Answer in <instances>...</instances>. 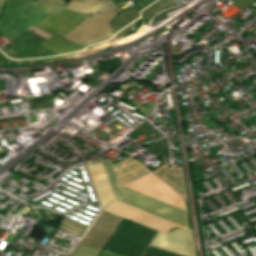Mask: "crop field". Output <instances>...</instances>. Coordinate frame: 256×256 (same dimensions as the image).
Returning a JSON list of instances; mask_svg holds the SVG:
<instances>
[{
	"label": "crop field",
	"mask_w": 256,
	"mask_h": 256,
	"mask_svg": "<svg viewBox=\"0 0 256 256\" xmlns=\"http://www.w3.org/2000/svg\"><path fill=\"white\" fill-rule=\"evenodd\" d=\"M42 1H46L52 4L61 5L65 7V4L62 0H42Z\"/></svg>",
	"instance_id": "obj_18"
},
{
	"label": "crop field",
	"mask_w": 256,
	"mask_h": 256,
	"mask_svg": "<svg viewBox=\"0 0 256 256\" xmlns=\"http://www.w3.org/2000/svg\"><path fill=\"white\" fill-rule=\"evenodd\" d=\"M99 252L100 249L78 244L70 256H98Z\"/></svg>",
	"instance_id": "obj_15"
},
{
	"label": "crop field",
	"mask_w": 256,
	"mask_h": 256,
	"mask_svg": "<svg viewBox=\"0 0 256 256\" xmlns=\"http://www.w3.org/2000/svg\"><path fill=\"white\" fill-rule=\"evenodd\" d=\"M145 256H178V254H174L161 249L150 247L147 253L145 254Z\"/></svg>",
	"instance_id": "obj_17"
},
{
	"label": "crop field",
	"mask_w": 256,
	"mask_h": 256,
	"mask_svg": "<svg viewBox=\"0 0 256 256\" xmlns=\"http://www.w3.org/2000/svg\"><path fill=\"white\" fill-rule=\"evenodd\" d=\"M140 7L143 6L144 4H146L147 2H149L150 0H137Z\"/></svg>",
	"instance_id": "obj_19"
},
{
	"label": "crop field",
	"mask_w": 256,
	"mask_h": 256,
	"mask_svg": "<svg viewBox=\"0 0 256 256\" xmlns=\"http://www.w3.org/2000/svg\"><path fill=\"white\" fill-rule=\"evenodd\" d=\"M111 6V0H71L66 8L90 14Z\"/></svg>",
	"instance_id": "obj_10"
},
{
	"label": "crop field",
	"mask_w": 256,
	"mask_h": 256,
	"mask_svg": "<svg viewBox=\"0 0 256 256\" xmlns=\"http://www.w3.org/2000/svg\"><path fill=\"white\" fill-rule=\"evenodd\" d=\"M102 256H118V255L111 254V253H108V252H103Z\"/></svg>",
	"instance_id": "obj_20"
},
{
	"label": "crop field",
	"mask_w": 256,
	"mask_h": 256,
	"mask_svg": "<svg viewBox=\"0 0 256 256\" xmlns=\"http://www.w3.org/2000/svg\"><path fill=\"white\" fill-rule=\"evenodd\" d=\"M139 19L135 9L133 8L132 10L121 14L120 17H118L116 19L115 22H113L111 25V27L114 29L115 32H119L121 29H123L124 27H126L127 25H129L131 22L135 21ZM133 24H131L130 26H128L127 28H125L123 31H121L120 33H118L119 35H124L131 27Z\"/></svg>",
	"instance_id": "obj_14"
},
{
	"label": "crop field",
	"mask_w": 256,
	"mask_h": 256,
	"mask_svg": "<svg viewBox=\"0 0 256 256\" xmlns=\"http://www.w3.org/2000/svg\"><path fill=\"white\" fill-rule=\"evenodd\" d=\"M110 236V233L100 232L89 228L80 244L90 245L102 249Z\"/></svg>",
	"instance_id": "obj_12"
},
{
	"label": "crop field",
	"mask_w": 256,
	"mask_h": 256,
	"mask_svg": "<svg viewBox=\"0 0 256 256\" xmlns=\"http://www.w3.org/2000/svg\"><path fill=\"white\" fill-rule=\"evenodd\" d=\"M139 166H141V164L139 162H137L134 159L129 157V158L121 161L120 163L114 165V169L117 174V177H119V176L139 167ZM147 172H149V171L142 166V167L118 178L117 179V187L121 186V185L147 173Z\"/></svg>",
	"instance_id": "obj_9"
},
{
	"label": "crop field",
	"mask_w": 256,
	"mask_h": 256,
	"mask_svg": "<svg viewBox=\"0 0 256 256\" xmlns=\"http://www.w3.org/2000/svg\"><path fill=\"white\" fill-rule=\"evenodd\" d=\"M120 221L121 218L102 211L92 227L113 233Z\"/></svg>",
	"instance_id": "obj_13"
},
{
	"label": "crop field",
	"mask_w": 256,
	"mask_h": 256,
	"mask_svg": "<svg viewBox=\"0 0 256 256\" xmlns=\"http://www.w3.org/2000/svg\"><path fill=\"white\" fill-rule=\"evenodd\" d=\"M171 5H173V4L170 1L161 0V1L157 2L156 4H154L153 6H151L150 8L143 11V13H144L145 17H148L149 15H151L152 13L157 11L158 9L163 8V7H167V6H171Z\"/></svg>",
	"instance_id": "obj_16"
},
{
	"label": "crop field",
	"mask_w": 256,
	"mask_h": 256,
	"mask_svg": "<svg viewBox=\"0 0 256 256\" xmlns=\"http://www.w3.org/2000/svg\"><path fill=\"white\" fill-rule=\"evenodd\" d=\"M115 14L117 13L113 12L110 9L104 10L100 13H95L92 16L88 17L82 24H80L75 31L66 35V37L78 42L104 34L112 33V30L110 29L108 23L113 17H115ZM114 37L115 34L112 33L78 43L84 47H87Z\"/></svg>",
	"instance_id": "obj_4"
},
{
	"label": "crop field",
	"mask_w": 256,
	"mask_h": 256,
	"mask_svg": "<svg viewBox=\"0 0 256 256\" xmlns=\"http://www.w3.org/2000/svg\"><path fill=\"white\" fill-rule=\"evenodd\" d=\"M61 9L31 0H9L0 18V33L11 39Z\"/></svg>",
	"instance_id": "obj_3"
},
{
	"label": "crop field",
	"mask_w": 256,
	"mask_h": 256,
	"mask_svg": "<svg viewBox=\"0 0 256 256\" xmlns=\"http://www.w3.org/2000/svg\"><path fill=\"white\" fill-rule=\"evenodd\" d=\"M4 2H5V0H0V11L2 9V6H3Z\"/></svg>",
	"instance_id": "obj_22"
},
{
	"label": "crop field",
	"mask_w": 256,
	"mask_h": 256,
	"mask_svg": "<svg viewBox=\"0 0 256 256\" xmlns=\"http://www.w3.org/2000/svg\"><path fill=\"white\" fill-rule=\"evenodd\" d=\"M64 226L69 227V228H72V227L67 226V225H65V224H64ZM62 229H65V228H63V227H62ZM72 229L77 230V231H79V232H80V230H78V229H75V228H72ZM65 230H68V229H65ZM68 231H70V230H68ZM71 232H73V231H71ZM79 232H78V233H79ZM74 233H76V232H74ZM78 233H77V234H78Z\"/></svg>",
	"instance_id": "obj_21"
},
{
	"label": "crop field",
	"mask_w": 256,
	"mask_h": 256,
	"mask_svg": "<svg viewBox=\"0 0 256 256\" xmlns=\"http://www.w3.org/2000/svg\"><path fill=\"white\" fill-rule=\"evenodd\" d=\"M156 231L142 226L138 233L118 227L105 250L125 256H142Z\"/></svg>",
	"instance_id": "obj_5"
},
{
	"label": "crop field",
	"mask_w": 256,
	"mask_h": 256,
	"mask_svg": "<svg viewBox=\"0 0 256 256\" xmlns=\"http://www.w3.org/2000/svg\"><path fill=\"white\" fill-rule=\"evenodd\" d=\"M124 187L186 210L185 201L152 173ZM127 188H118L123 196L117 200L188 228L186 211L143 196ZM139 209L115 201L103 210L113 215L144 224L164 234L174 228H185Z\"/></svg>",
	"instance_id": "obj_1"
},
{
	"label": "crop field",
	"mask_w": 256,
	"mask_h": 256,
	"mask_svg": "<svg viewBox=\"0 0 256 256\" xmlns=\"http://www.w3.org/2000/svg\"><path fill=\"white\" fill-rule=\"evenodd\" d=\"M150 245L185 256H195L192 229H174L167 235L157 232Z\"/></svg>",
	"instance_id": "obj_6"
},
{
	"label": "crop field",
	"mask_w": 256,
	"mask_h": 256,
	"mask_svg": "<svg viewBox=\"0 0 256 256\" xmlns=\"http://www.w3.org/2000/svg\"><path fill=\"white\" fill-rule=\"evenodd\" d=\"M103 167L105 169L107 178L109 180L112 192L114 194L115 199L120 197V195L117 193L116 187L114 185V182L112 180L109 168L107 166V163L104 162L102 163ZM102 164H95V165H88L90 174L92 176L93 182H94V186L95 189L99 195L101 204H106L108 202H110L112 199H114L113 194L111 192L109 183L107 181L104 169L102 167Z\"/></svg>",
	"instance_id": "obj_8"
},
{
	"label": "crop field",
	"mask_w": 256,
	"mask_h": 256,
	"mask_svg": "<svg viewBox=\"0 0 256 256\" xmlns=\"http://www.w3.org/2000/svg\"><path fill=\"white\" fill-rule=\"evenodd\" d=\"M86 17L84 14L63 9L33 27L52 36L40 42L41 44L66 58H78L92 53L62 36L73 31Z\"/></svg>",
	"instance_id": "obj_2"
},
{
	"label": "crop field",
	"mask_w": 256,
	"mask_h": 256,
	"mask_svg": "<svg viewBox=\"0 0 256 256\" xmlns=\"http://www.w3.org/2000/svg\"><path fill=\"white\" fill-rule=\"evenodd\" d=\"M3 52L6 53L12 59L54 53L51 50L45 48L44 46L38 44L37 42L27 37L23 39L21 42H19L17 45L13 46V48H7L3 50ZM63 59L65 58L57 54L53 56L18 60L17 62L20 64H32V63L52 62V61L63 60Z\"/></svg>",
	"instance_id": "obj_7"
},
{
	"label": "crop field",
	"mask_w": 256,
	"mask_h": 256,
	"mask_svg": "<svg viewBox=\"0 0 256 256\" xmlns=\"http://www.w3.org/2000/svg\"><path fill=\"white\" fill-rule=\"evenodd\" d=\"M154 173L161 177L171 187L176 189L185 198V192L180 169H170L165 166Z\"/></svg>",
	"instance_id": "obj_11"
}]
</instances>
